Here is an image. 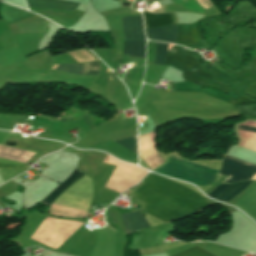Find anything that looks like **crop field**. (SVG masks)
<instances>
[{"label":"crop field","instance_id":"3","mask_svg":"<svg viewBox=\"0 0 256 256\" xmlns=\"http://www.w3.org/2000/svg\"><path fill=\"white\" fill-rule=\"evenodd\" d=\"M104 162L117 165L105 188L119 194L137 184L148 173L138 166L120 162L108 154Z\"/></svg>","mask_w":256,"mask_h":256},{"label":"crop field","instance_id":"4","mask_svg":"<svg viewBox=\"0 0 256 256\" xmlns=\"http://www.w3.org/2000/svg\"><path fill=\"white\" fill-rule=\"evenodd\" d=\"M256 172V165L224 155L220 175L229 176L222 183H234L249 179Z\"/></svg>","mask_w":256,"mask_h":256},{"label":"crop field","instance_id":"10","mask_svg":"<svg viewBox=\"0 0 256 256\" xmlns=\"http://www.w3.org/2000/svg\"><path fill=\"white\" fill-rule=\"evenodd\" d=\"M240 125L256 128V123L249 122V121H247L246 123H241ZM240 125H238L237 129L256 134V129H252V128H248V127H244V126H240ZM239 130H237V131H238L240 137L256 141L255 134H251V133H247V132H243V131H239ZM242 138H240L241 139V143H240L241 147L256 151V142L242 139Z\"/></svg>","mask_w":256,"mask_h":256},{"label":"crop field","instance_id":"24","mask_svg":"<svg viewBox=\"0 0 256 256\" xmlns=\"http://www.w3.org/2000/svg\"><path fill=\"white\" fill-rule=\"evenodd\" d=\"M115 1H117V0H115Z\"/></svg>","mask_w":256,"mask_h":256},{"label":"crop field","instance_id":"16","mask_svg":"<svg viewBox=\"0 0 256 256\" xmlns=\"http://www.w3.org/2000/svg\"><path fill=\"white\" fill-rule=\"evenodd\" d=\"M168 44L156 42V52L154 64L163 65Z\"/></svg>","mask_w":256,"mask_h":256},{"label":"crop field","instance_id":"6","mask_svg":"<svg viewBox=\"0 0 256 256\" xmlns=\"http://www.w3.org/2000/svg\"><path fill=\"white\" fill-rule=\"evenodd\" d=\"M125 41L145 38L141 16H128L122 20Z\"/></svg>","mask_w":256,"mask_h":256},{"label":"crop field","instance_id":"21","mask_svg":"<svg viewBox=\"0 0 256 256\" xmlns=\"http://www.w3.org/2000/svg\"><path fill=\"white\" fill-rule=\"evenodd\" d=\"M252 181H246L245 184L240 187L237 191H235L233 194L227 196L222 202L227 203L232 197L240 193L242 190H244Z\"/></svg>","mask_w":256,"mask_h":256},{"label":"crop field","instance_id":"1","mask_svg":"<svg viewBox=\"0 0 256 256\" xmlns=\"http://www.w3.org/2000/svg\"><path fill=\"white\" fill-rule=\"evenodd\" d=\"M141 187L160 193L182 206L196 212L213 203L198 193L177 185L167 179L149 173ZM139 187L130 197L144 202L146 213L164 223L176 220L194 212L178 203L152 191Z\"/></svg>","mask_w":256,"mask_h":256},{"label":"crop field","instance_id":"19","mask_svg":"<svg viewBox=\"0 0 256 256\" xmlns=\"http://www.w3.org/2000/svg\"><path fill=\"white\" fill-rule=\"evenodd\" d=\"M229 185L230 184H220L212 192H210L207 196H209L211 198H214L215 196H217L221 191H223Z\"/></svg>","mask_w":256,"mask_h":256},{"label":"crop field","instance_id":"14","mask_svg":"<svg viewBox=\"0 0 256 256\" xmlns=\"http://www.w3.org/2000/svg\"><path fill=\"white\" fill-rule=\"evenodd\" d=\"M143 13L147 28L173 24L171 14H151L146 12Z\"/></svg>","mask_w":256,"mask_h":256},{"label":"crop field","instance_id":"22","mask_svg":"<svg viewBox=\"0 0 256 256\" xmlns=\"http://www.w3.org/2000/svg\"><path fill=\"white\" fill-rule=\"evenodd\" d=\"M87 54H89L94 60H96L89 52H87L84 48H82Z\"/></svg>","mask_w":256,"mask_h":256},{"label":"crop field","instance_id":"5","mask_svg":"<svg viewBox=\"0 0 256 256\" xmlns=\"http://www.w3.org/2000/svg\"><path fill=\"white\" fill-rule=\"evenodd\" d=\"M139 152L146 164L153 170L163 163L155 149L154 131L139 135Z\"/></svg>","mask_w":256,"mask_h":256},{"label":"crop field","instance_id":"12","mask_svg":"<svg viewBox=\"0 0 256 256\" xmlns=\"http://www.w3.org/2000/svg\"><path fill=\"white\" fill-rule=\"evenodd\" d=\"M83 174L78 169H74V171L71 173V175L58 187L56 188L52 193H50L45 199H43L41 202L51 205L55 199L73 182H75L77 179L82 177Z\"/></svg>","mask_w":256,"mask_h":256},{"label":"crop field","instance_id":"17","mask_svg":"<svg viewBox=\"0 0 256 256\" xmlns=\"http://www.w3.org/2000/svg\"><path fill=\"white\" fill-rule=\"evenodd\" d=\"M173 256H213L197 247L190 248L182 253Z\"/></svg>","mask_w":256,"mask_h":256},{"label":"crop field","instance_id":"25","mask_svg":"<svg viewBox=\"0 0 256 256\" xmlns=\"http://www.w3.org/2000/svg\"><path fill=\"white\" fill-rule=\"evenodd\" d=\"M115 231V230H114Z\"/></svg>","mask_w":256,"mask_h":256},{"label":"crop field","instance_id":"18","mask_svg":"<svg viewBox=\"0 0 256 256\" xmlns=\"http://www.w3.org/2000/svg\"><path fill=\"white\" fill-rule=\"evenodd\" d=\"M244 182L236 183V184H233V185L229 186L220 195H218L215 198V200L221 201L224 197H226L227 195L233 193L238 187L242 186L244 184Z\"/></svg>","mask_w":256,"mask_h":256},{"label":"crop field","instance_id":"15","mask_svg":"<svg viewBox=\"0 0 256 256\" xmlns=\"http://www.w3.org/2000/svg\"><path fill=\"white\" fill-rule=\"evenodd\" d=\"M113 141L125 147L126 149L130 150L131 152L137 154L136 137L129 136V137L113 140Z\"/></svg>","mask_w":256,"mask_h":256},{"label":"crop field","instance_id":"11","mask_svg":"<svg viewBox=\"0 0 256 256\" xmlns=\"http://www.w3.org/2000/svg\"><path fill=\"white\" fill-rule=\"evenodd\" d=\"M28 7H40L51 9H76L79 4L62 2L58 0H26Z\"/></svg>","mask_w":256,"mask_h":256},{"label":"crop field","instance_id":"8","mask_svg":"<svg viewBox=\"0 0 256 256\" xmlns=\"http://www.w3.org/2000/svg\"><path fill=\"white\" fill-rule=\"evenodd\" d=\"M56 65L52 67L55 69ZM83 64H62L57 65L55 70H63L71 73L82 74ZM100 73V63L97 61L95 62H88L84 63L83 74L85 75H99Z\"/></svg>","mask_w":256,"mask_h":256},{"label":"crop field","instance_id":"7","mask_svg":"<svg viewBox=\"0 0 256 256\" xmlns=\"http://www.w3.org/2000/svg\"><path fill=\"white\" fill-rule=\"evenodd\" d=\"M148 39L158 40L175 44L176 42V24L151 29H145Z\"/></svg>","mask_w":256,"mask_h":256},{"label":"crop field","instance_id":"23","mask_svg":"<svg viewBox=\"0 0 256 256\" xmlns=\"http://www.w3.org/2000/svg\"><path fill=\"white\" fill-rule=\"evenodd\" d=\"M251 179L256 180V174H255L254 177H252Z\"/></svg>","mask_w":256,"mask_h":256},{"label":"crop field","instance_id":"9","mask_svg":"<svg viewBox=\"0 0 256 256\" xmlns=\"http://www.w3.org/2000/svg\"><path fill=\"white\" fill-rule=\"evenodd\" d=\"M121 219L123 222L125 232H132L145 227H149V224L142 216L140 211L122 213Z\"/></svg>","mask_w":256,"mask_h":256},{"label":"crop field","instance_id":"2","mask_svg":"<svg viewBox=\"0 0 256 256\" xmlns=\"http://www.w3.org/2000/svg\"><path fill=\"white\" fill-rule=\"evenodd\" d=\"M154 172L197 185L212 184L217 173L214 169L173 157Z\"/></svg>","mask_w":256,"mask_h":256},{"label":"crop field","instance_id":"13","mask_svg":"<svg viewBox=\"0 0 256 256\" xmlns=\"http://www.w3.org/2000/svg\"><path fill=\"white\" fill-rule=\"evenodd\" d=\"M145 39L128 41L124 43V53L130 54V57L144 58Z\"/></svg>","mask_w":256,"mask_h":256},{"label":"crop field","instance_id":"20","mask_svg":"<svg viewBox=\"0 0 256 256\" xmlns=\"http://www.w3.org/2000/svg\"><path fill=\"white\" fill-rule=\"evenodd\" d=\"M23 164H19V163H15V162H11V161H6V160H2L0 159V168L3 167H18V168H22Z\"/></svg>","mask_w":256,"mask_h":256}]
</instances>
